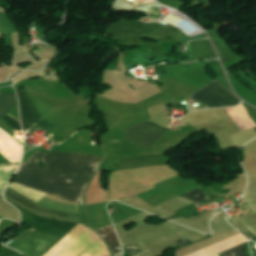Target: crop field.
Returning <instances> with one entry per match:
<instances>
[{"label": "crop field", "instance_id": "crop-field-1", "mask_svg": "<svg viewBox=\"0 0 256 256\" xmlns=\"http://www.w3.org/2000/svg\"><path fill=\"white\" fill-rule=\"evenodd\" d=\"M41 159L49 170L89 181L104 158L52 151L48 154L36 151L26 162L37 166ZM21 164L14 182L77 203L87 181ZM62 182H58L57 180ZM86 187V186H85Z\"/></svg>", "mask_w": 256, "mask_h": 256}, {"label": "crop field", "instance_id": "crop-field-2", "mask_svg": "<svg viewBox=\"0 0 256 256\" xmlns=\"http://www.w3.org/2000/svg\"><path fill=\"white\" fill-rule=\"evenodd\" d=\"M190 98L210 108L234 106L240 102L235 94L215 80L193 93Z\"/></svg>", "mask_w": 256, "mask_h": 256}, {"label": "crop field", "instance_id": "crop-field-3", "mask_svg": "<svg viewBox=\"0 0 256 256\" xmlns=\"http://www.w3.org/2000/svg\"><path fill=\"white\" fill-rule=\"evenodd\" d=\"M9 189L17 192L18 194L24 196L25 198L33 201L36 196L40 193L39 191H36L34 189L16 184V183H12L9 186ZM7 189L5 191V195L11 197L12 199L20 202L21 204L37 211V212H41V213H45L54 217H59V218H67V219H74L77 220L78 218V214H73V213H65V212H61V211H57V210H53V209H49V208H45L42 207L40 205H37L27 199H25L24 197L18 195L17 193L11 191Z\"/></svg>", "mask_w": 256, "mask_h": 256}, {"label": "crop field", "instance_id": "crop-field-4", "mask_svg": "<svg viewBox=\"0 0 256 256\" xmlns=\"http://www.w3.org/2000/svg\"><path fill=\"white\" fill-rule=\"evenodd\" d=\"M165 130L153 122H143L126 130L125 138L144 148H151Z\"/></svg>", "mask_w": 256, "mask_h": 256}, {"label": "crop field", "instance_id": "crop-field-5", "mask_svg": "<svg viewBox=\"0 0 256 256\" xmlns=\"http://www.w3.org/2000/svg\"><path fill=\"white\" fill-rule=\"evenodd\" d=\"M15 90L20 100L22 125L24 132H26L31 126L42 118L30 102L22 87L16 88Z\"/></svg>", "mask_w": 256, "mask_h": 256}, {"label": "crop field", "instance_id": "crop-field-6", "mask_svg": "<svg viewBox=\"0 0 256 256\" xmlns=\"http://www.w3.org/2000/svg\"><path fill=\"white\" fill-rule=\"evenodd\" d=\"M98 232L102 235L104 240L108 243L113 256H121L122 248L117 239L113 226L111 225L109 227L103 228L101 230H98Z\"/></svg>", "mask_w": 256, "mask_h": 256}, {"label": "crop field", "instance_id": "crop-field-7", "mask_svg": "<svg viewBox=\"0 0 256 256\" xmlns=\"http://www.w3.org/2000/svg\"><path fill=\"white\" fill-rule=\"evenodd\" d=\"M17 103L15 93L0 92V119Z\"/></svg>", "mask_w": 256, "mask_h": 256}, {"label": "crop field", "instance_id": "crop-field-8", "mask_svg": "<svg viewBox=\"0 0 256 256\" xmlns=\"http://www.w3.org/2000/svg\"><path fill=\"white\" fill-rule=\"evenodd\" d=\"M180 197H182L188 201L194 202L196 204H198L208 198L200 188L196 189V190L189 191V192L181 195Z\"/></svg>", "mask_w": 256, "mask_h": 256}, {"label": "crop field", "instance_id": "crop-field-9", "mask_svg": "<svg viewBox=\"0 0 256 256\" xmlns=\"http://www.w3.org/2000/svg\"><path fill=\"white\" fill-rule=\"evenodd\" d=\"M223 256H245L242 245L222 252Z\"/></svg>", "mask_w": 256, "mask_h": 256}, {"label": "crop field", "instance_id": "crop-field-10", "mask_svg": "<svg viewBox=\"0 0 256 256\" xmlns=\"http://www.w3.org/2000/svg\"><path fill=\"white\" fill-rule=\"evenodd\" d=\"M1 120L6 122L7 124L11 125L15 129L21 131L20 125L18 120H16L14 117H12L10 114H6Z\"/></svg>", "mask_w": 256, "mask_h": 256}, {"label": "crop field", "instance_id": "crop-field-11", "mask_svg": "<svg viewBox=\"0 0 256 256\" xmlns=\"http://www.w3.org/2000/svg\"><path fill=\"white\" fill-rule=\"evenodd\" d=\"M126 249L132 256H145L138 245L128 246Z\"/></svg>", "mask_w": 256, "mask_h": 256}, {"label": "crop field", "instance_id": "crop-field-12", "mask_svg": "<svg viewBox=\"0 0 256 256\" xmlns=\"http://www.w3.org/2000/svg\"><path fill=\"white\" fill-rule=\"evenodd\" d=\"M37 125H39V126H41V127H43V128H45V129H50V128H52V127H54L53 125H51L50 123H48L47 121H45V120H41L40 122H38L37 123ZM49 131V130H48Z\"/></svg>", "mask_w": 256, "mask_h": 256}, {"label": "crop field", "instance_id": "crop-field-13", "mask_svg": "<svg viewBox=\"0 0 256 256\" xmlns=\"http://www.w3.org/2000/svg\"><path fill=\"white\" fill-rule=\"evenodd\" d=\"M214 256H218V254L214 255Z\"/></svg>", "mask_w": 256, "mask_h": 256}]
</instances>
